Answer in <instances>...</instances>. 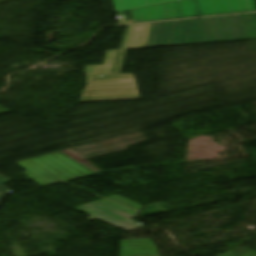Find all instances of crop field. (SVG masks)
I'll return each mask as SVG.
<instances>
[{"label": "crop field", "instance_id": "crop-field-1", "mask_svg": "<svg viewBox=\"0 0 256 256\" xmlns=\"http://www.w3.org/2000/svg\"><path fill=\"white\" fill-rule=\"evenodd\" d=\"M151 24L128 26L120 51H106L103 65L86 66L80 102L140 99L133 74H120L126 49L145 48Z\"/></svg>", "mask_w": 256, "mask_h": 256}, {"label": "crop field", "instance_id": "crop-field-2", "mask_svg": "<svg viewBox=\"0 0 256 256\" xmlns=\"http://www.w3.org/2000/svg\"><path fill=\"white\" fill-rule=\"evenodd\" d=\"M16 164L28 170L24 175L41 186L92 174L59 153Z\"/></svg>", "mask_w": 256, "mask_h": 256}, {"label": "crop field", "instance_id": "crop-field-3", "mask_svg": "<svg viewBox=\"0 0 256 256\" xmlns=\"http://www.w3.org/2000/svg\"><path fill=\"white\" fill-rule=\"evenodd\" d=\"M206 43L200 19L159 23L151 27L146 48Z\"/></svg>", "mask_w": 256, "mask_h": 256}, {"label": "crop field", "instance_id": "crop-field-4", "mask_svg": "<svg viewBox=\"0 0 256 256\" xmlns=\"http://www.w3.org/2000/svg\"><path fill=\"white\" fill-rule=\"evenodd\" d=\"M135 23L199 16L195 0H180L132 10Z\"/></svg>", "mask_w": 256, "mask_h": 256}, {"label": "crop field", "instance_id": "crop-field-5", "mask_svg": "<svg viewBox=\"0 0 256 256\" xmlns=\"http://www.w3.org/2000/svg\"><path fill=\"white\" fill-rule=\"evenodd\" d=\"M201 16L256 11L255 0H197Z\"/></svg>", "mask_w": 256, "mask_h": 256}, {"label": "crop field", "instance_id": "crop-field-6", "mask_svg": "<svg viewBox=\"0 0 256 256\" xmlns=\"http://www.w3.org/2000/svg\"><path fill=\"white\" fill-rule=\"evenodd\" d=\"M201 21L207 43L238 40L233 16Z\"/></svg>", "mask_w": 256, "mask_h": 256}, {"label": "crop field", "instance_id": "crop-field-7", "mask_svg": "<svg viewBox=\"0 0 256 256\" xmlns=\"http://www.w3.org/2000/svg\"><path fill=\"white\" fill-rule=\"evenodd\" d=\"M120 256H160L151 239L120 242Z\"/></svg>", "mask_w": 256, "mask_h": 256}, {"label": "crop field", "instance_id": "crop-field-8", "mask_svg": "<svg viewBox=\"0 0 256 256\" xmlns=\"http://www.w3.org/2000/svg\"><path fill=\"white\" fill-rule=\"evenodd\" d=\"M87 205L95 207L97 209H100L102 211H105V212H108V213L112 214L110 216L103 217V218H100V219H102L104 221H107L109 223H112V224H114L116 226H119L121 228H124L128 231L144 228V226L129 220L130 218H132L134 216H131V215L125 213V212H121L117 209L109 207V206H107L105 204H102L98 201L92 202V203L87 204Z\"/></svg>", "mask_w": 256, "mask_h": 256}, {"label": "crop field", "instance_id": "crop-field-9", "mask_svg": "<svg viewBox=\"0 0 256 256\" xmlns=\"http://www.w3.org/2000/svg\"><path fill=\"white\" fill-rule=\"evenodd\" d=\"M175 0H114L116 11L134 9L152 4L164 3Z\"/></svg>", "mask_w": 256, "mask_h": 256}, {"label": "crop field", "instance_id": "crop-field-10", "mask_svg": "<svg viewBox=\"0 0 256 256\" xmlns=\"http://www.w3.org/2000/svg\"><path fill=\"white\" fill-rule=\"evenodd\" d=\"M81 213H84V214H87L89 216V220L87 221H92V220H96L100 217H103V216H107V215H110L108 213H105V212H102L100 210H97L95 208H92V207H89L87 205H84V206H80V207H77V208H73Z\"/></svg>", "mask_w": 256, "mask_h": 256}, {"label": "crop field", "instance_id": "crop-field-11", "mask_svg": "<svg viewBox=\"0 0 256 256\" xmlns=\"http://www.w3.org/2000/svg\"><path fill=\"white\" fill-rule=\"evenodd\" d=\"M106 198L111 199V200H113L115 202H118L120 204H123L125 206H129L130 208H133V209H136V210H139V211H141L144 208L143 206L138 205L139 203L136 204V203H134V202L118 195V194H115V195H112V196H109V197H106Z\"/></svg>", "mask_w": 256, "mask_h": 256}, {"label": "crop field", "instance_id": "crop-field-12", "mask_svg": "<svg viewBox=\"0 0 256 256\" xmlns=\"http://www.w3.org/2000/svg\"><path fill=\"white\" fill-rule=\"evenodd\" d=\"M9 179L0 174V202L5 197V195L9 192L3 184L8 183Z\"/></svg>", "mask_w": 256, "mask_h": 256}, {"label": "crop field", "instance_id": "crop-field-13", "mask_svg": "<svg viewBox=\"0 0 256 256\" xmlns=\"http://www.w3.org/2000/svg\"><path fill=\"white\" fill-rule=\"evenodd\" d=\"M98 201H100V202H102V203H105V204H107V205H110V206H112V207H114V208H117V209H119V210H121V211L128 212V213H130V214H132V215L136 213L135 211L126 209V208H124V207H122V206H119V205H117V204H114V203H112V202H110V201H107V200H105V199L98 200Z\"/></svg>", "mask_w": 256, "mask_h": 256}, {"label": "crop field", "instance_id": "crop-field-14", "mask_svg": "<svg viewBox=\"0 0 256 256\" xmlns=\"http://www.w3.org/2000/svg\"><path fill=\"white\" fill-rule=\"evenodd\" d=\"M9 112L6 108L0 105V113Z\"/></svg>", "mask_w": 256, "mask_h": 256}]
</instances>
